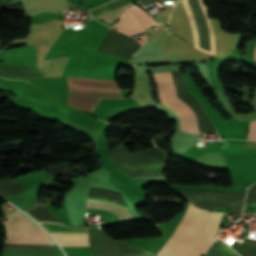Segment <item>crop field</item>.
Instances as JSON below:
<instances>
[{"instance_id":"obj_1","label":"crop field","mask_w":256,"mask_h":256,"mask_svg":"<svg viewBox=\"0 0 256 256\" xmlns=\"http://www.w3.org/2000/svg\"><path fill=\"white\" fill-rule=\"evenodd\" d=\"M198 209L186 204L183 211L166 222L167 233L154 238L120 240L157 256H187L200 214ZM222 213L202 212L188 256H202L216 237ZM216 239V238H215Z\"/></svg>"},{"instance_id":"obj_2","label":"crop field","mask_w":256,"mask_h":256,"mask_svg":"<svg viewBox=\"0 0 256 256\" xmlns=\"http://www.w3.org/2000/svg\"><path fill=\"white\" fill-rule=\"evenodd\" d=\"M68 92L121 96L115 81L66 77ZM68 93V104L89 113L100 98H122Z\"/></svg>"},{"instance_id":"obj_3","label":"crop field","mask_w":256,"mask_h":256,"mask_svg":"<svg viewBox=\"0 0 256 256\" xmlns=\"http://www.w3.org/2000/svg\"><path fill=\"white\" fill-rule=\"evenodd\" d=\"M152 75L157 85L159 100L177 114L180 129L195 134L203 133L192 109L176 98L170 73L160 72Z\"/></svg>"},{"instance_id":"obj_4","label":"crop field","mask_w":256,"mask_h":256,"mask_svg":"<svg viewBox=\"0 0 256 256\" xmlns=\"http://www.w3.org/2000/svg\"><path fill=\"white\" fill-rule=\"evenodd\" d=\"M1 222L6 236L3 243L12 244H55L47 234L29 218L16 211L5 216Z\"/></svg>"},{"instance_id":"obj_5","label":"crop field","mask_w":256,"mask_h":256,"mask_svg":"<svg viewBox=\"0 0 256 256\" xmlns=\"http://www.w3.org/2000/svg\"><path fill=\"white\" fill-rule=\"evenodd\" d=\"M182 196L189 199L191 203L199 208L206 210H215L216 207L231 208L230 214L239 216L242 209V204L245 194L224 193V192H209V191H194L174 189Z\"/></svg>"},{"instance_id":"obj_6","label":"crop field","mask_w":256,"mask_h":256,"mask_svg":"<svg viewBox=\"0 0 256 256\" xmlns=\"http://www.w3.org/2000/svg\"><path fill=\"white\" fill-rule=\"evenodd\" d=\"M61 247L89 246L87 233H50Z\"/></svg>"},{"instance_id":"obj_7","label":"crop field","mask_w":256,"mask_h":256,"mask_svg":"<svg viewBox=\"0 0 256 256\" xmlns=\"http://www.w3.org/2000/svg\"><path fill=\"white\" fill-rule=\"evenodd\" d=\"M87 207L97 208L102 210H107L115 213L123 222L127 223L128 221L135 220L134 216L130 214L126 209L121 206L113 205L107 202L102 201H87Z\"/></svg>"},{"instance_id":"obj_8","label":"crop field","mask_w":256,"mask_h":256,"mask_svg":"<svg viewBox=\"0 0 256 256\" xmlns=\"http://www.w3.org/2000/svg\"><path fill=\"white\" fill-rule=\"evenodd\" d=\"M133 14L137 17L140 24L143 26L144 29L155 25L156 23L152 20L149 14H147L143 9L136 6L135 4L128 7Z\"/></svg>"},{"instance_id":"obj_9","label":"crop field","mask_w":256,"mask_h":256,"mask_svg":"<svg viewBox=\"0 0 256 256\" xmlns=\"http://www.w3.org/2000/svg\"><path fill=\"white\" fill-rule=\"evenodd\" d=\"M133 3L127 4L125 6H122L118 9H115L113 11H110L108 13H105L103 15L98 16L97 18L107 22L108 24L114 22L115 20H117L119 18V16L121 15V13Z\"/></svg>"},{"instance_id":"obj_10","label":"crop field","mask_w":256,"mask_h":256,"mask_svg":"<svg viewBox=\"0 0 256 256\" xmlns=\"http://www.w3.org/2000/svg\"><path fill=\"white\" fill-rule=\"evenodd\" d=\"M248 139L256 140V120L250 122Z\"/></svg>"},{"instance_id":"obj_11","label":"crop field","mask_w":256,"mask_h":256,"mask_svg":"<svg viewBox=\"0 0 256 256\" xmlns=\"http://www.w3.org/2000/svg\"><path fill=\"white\" fill-rule=\"evenodd\" d=\"M254 60L256 61V44H255V50H254Z\"/></svg>"},{"instance_id":"obj_12","label":"crop field","mask_w":256,"mask_h":256,"mask_svg":"<svg viewBox=\"0 0 256 256\" xmlns=\"http://www.w3.org/2000/svg\"><path fill=\"white\" fill-rule=\"evenodd\" d=\"M26 1H29V0H21L22 3H23V2H26Z\"/></svg>"},{"instance_id":"obj_13","label":"crop field","mask_w":256,"mask_h":256,"mask_svg":"<svg viewBox=\"0 0 256 256\" xmlns=\"http://www.w3.org/2000/svg\"><path fill=\"white\" fill-rule=\"evenodd\" d=\"M0 60H1V52H0Z\"/></svg>"}]
</instances>
